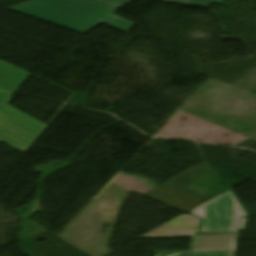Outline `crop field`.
Returning <instances> with one entry per match:
<instances>
[{"label": "crop field", "mask_w": 256, "mask_h": 256, "mask_svg": "<svg viewBox=\"0 0 256 256\" xmlns=\"http://www.w3.org/2000/svg\"><path fill=\"white\" fill-rule=\"evenodd\" d=\"M7 9L80 34L101 23L127 34L134 25L113 9L82 0H32Z\"/></svg>", "instance_id": "obj_1"}, {"label": "crop field", "mask_w": 256, "mask_h": 256, "mask_svg": "<svg viewBox=\"0 0 256 256\" xmlns=\"http://www.w3.org/2000/svg\"><path fill=\"white\" fill-rule=\"evenodd\" d=\"M233 251L182 252L174 256H232Z\"/></svg>", "instance_id": "obj_8"}, {"label": "crop field", "mask_w": 256, "mask_h": 256, "mask_svg": "<svg viewBox=\"0 0 256 256\" xmlns=\"http://www.w3.org/2000/svg\"><path fill=\"white\" fill-rule=\"evenodd\" d=\"M107 7L117 9L133 0H87Z\"/></svg>", "instance_id": "obj_9"}, {"label": "crop field", "mask_w": 256, "mask_h": 256, "mask_svg": "<svg viewBox=\"0 0 256 256\" xmlns=\"http://www.w3.org/2000/svg\"><path fill=\"white\" fill-rule=\"evenodd\" d=\"M245 222H246V218H242L240 230L245 229Z\"/></svg>", "instance_id": "obj_10"}, {"label": "crop field", "mask_w": 256, "mask_h": 256, "mask_svg": "<svg viewBox=\"0 0 256 256\" xmlns=\"http://www.w3.org/2000/svg\"><path fill=\"white\" fill-rule=\"evenodd\" d=\"M199 221L189 215H182L139 239L194 237Z\"/></svg>", "instance_id": "obj_4"}, {"label": "crop field", "mask_w": 256, "mask_h": 256, "mask_svg": "<svg viewBox=\"0 0 256 256\" xmlns=\"http://www.w3.org/2000/svg\"><path fill=\"white\" fill-rule=\"evenodd\" d=\"M28 73L0 61V90L17 93Z\"/></svg>", "instance_id": "obj_6"}, {"label": "crop field", "mask_w": 256, "mask_h": 256, "mask_svg": "<svg viewBox=\"0 0 256 256\" xmlns=\"http://www.w3.org/2000/svg\"><path fill=\"white\" fill-rule=\"evenodd\" d=\"M201 218L196 234L236 233L239 217L248 214L232 190L189 211Z\"/></svg>", "instance_id": "obj_2"}, {"label": "crop field", "mask_w": 256, "mask_h": 256, "mask_svg": "<svg viewBox=\"0 0 256 256\" xmlns=\"http://www.w3.org/2000/svg\"><path fill=\"white\" fill-rule=\"evenodd\" d=\"M236 234L196 235L191 250L232 249Z\"/></svg>", "instance_id": "obj_5"}, {"label": "crop field", "mask_w": 256, "mask_h": 256, "mask_svg": "<svg viewBox=\"0 0 256 256\" xmlns=\"http://www.w3.org/2000/svg\"><path fill=\"white\" fill-rule=\"evenodd\" d=\"M11 96L0 93V141L27 152L48 126L8 106Z\"/></svg>", "instance_id": "obj_3"}, {"label": "crop field", "mask_w": 256, "mask_h": 256, "mask_svg": "<svg viewBox=\"0 0 256 256\" xmlns=\"http://www.w3.org/2000/svg\"><path fill=\"white\" fill-rule=\"evenodd\" d=\"M164 2L207 8L211 2L225 4V0H163Z\"/></svg>", "instance_id": "obj_7"}]
</instances>
